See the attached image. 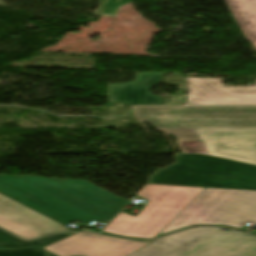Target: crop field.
I'll use <instances>...</instances> for the list:
<instances>
[{"label": "crop field", "mask_w": 256, "mask_h": 256, "mask_svg": "<svg viewBox=\"0 0 256 256\" xmlns=\"http://www.w3.org/2000/svg\"><path fill=\"white\" fill-rule=\"evenodd\" d=\"M128 202L86 181L0 175V228L25 239L108 223Z\"/></svg>", "instance_id": "8a807250"}, {"label": "crop field", "mask_w": 256, "mask_h": 256, "mask_svg": "<svg viewBox=\"0 0 256 256\" xmlns=\"http://www.w3.org/2000/svg\"><path fill=\"white\" fill-rule=\"evenodd\" d=\"M159 130L196 129L209 154L256 165V107H137Z\"/></svg>", "instance_id": "ac0d7876"}, {"label": "crop field", "mask_w": 256, "mask_h": 256, "mask_svg": "<svg viewBox=\"0 0 256 256\" xmlns=\"http://www.w3.org/2000/svg\"><path fill=\"white\" fill-rule=\"evenodd\" d=\"M256 224V191L204 188L156 236L193 224Z\"/></svg>", "instance_id": "34b2d1b8"}, {"label": "crop field", "mask_w": 256, "mask_h": 256, "mask_svg": "<svg viewBox=\"0 0 256 256\" xmlns=\"http://www.w3.org/2000/svg\"><path fill=\"white\" fill-rule=\"evenodd\" d=\"M222 228H195L162 237L129 256H256V238Z\"/></svg>", "instance_id": "412701ff"}, {"label": "crop field", "mask_w": 256, "mask_h": 256, "mask_svg": "<svg viewBox=\"0 0 256 256\" xmlns=\"http://www.w3.org/2000/svg\"><path fill=\"white\" fill-rule=\"evenodd\" d=\"M202 189L199 187L146 184L136 194L149 200L139 215L133 217L120 212L103 231L125 236L154 237Z\"/></svg>", "instance_id": "f4fd0767"}, {"label": "crop field", "mask_w": 256, "mask_h": 256, "mask_svg": "<svg viewBox=\"0 0 256 256\" xmlns=\"http://www.w3.org/2000/svg\"><path fill=\"white\" fill-rule=\"evenodd\" d=\"M177 185L256 190V166L202 154H174Z\"/></svg>", "instance_id": "dd49c442"}, {"label": "crop field", "mask_w": 256, "mask_h": 256, "mask_svg": "<svg viewBox=\"0 0 256 256\" xmlns=\"http://www.w3.org/2000/svg\"><path fill=\"white\" fill-rule=\"evenodd\" d=\"M78 233L64 241L42 248L56 256H126L148 244Z\"/></svg>", "instance_id": "e52e79f7"}, {"label": "crop field", "mask_w": 256, "mask_h": 256, "mask_svg": "<svg viewBox=\"0 0 256 256\" xmlns=\"http://www.w3.org/2000/svg\"><path fill=\"white\" fill-rule=\"evenodd\" d=\"M189 105H256L255 87L223 86L221 79L187 78Z\"/></svg>", "instance_id": "d8731c3e"}, {"label": "crop field", "mask_w": 256, "mask_h": 256, "mask_svg": "<svg viewBox=\"0 0 256 256\" xmlns=\"http://www.w3.org/2000/svg\"><path fill=\"white\" fill-rule=\"evenodd\" d=\"M162 82V73L137 72L135 81L108 84L107 101L126 105H163L162 97L150 94L149 88Z\"/></svg>", "instance_id": "5a996713"}, {"label": "crop field", "mask_w": 256, "mask_h": 256, "mask_svg": "<svg viewBox=\"0 0 256 256\" xmlns=\"http://www.w3.org/2000/svg\"><path fill=\"white\" fill-rule=\"evenodd\" d=\"M246 40L256 50V0H223Z\"/></svg>", "instance_id": "3316defc"}, {"label": "crop field", "mask_w": 256, "mask_h": 256, "mask_svg": "<svg viewBox=\"0 0 256 256\" xmlns=\"http://www.w3.org/2000/svg\"><path fill=\"white\" fill-rule=\"evenodd\" d=\"M71 234H62L47 238H42L36 241H22L2 230H0V248H19V247H33V246H45L51 242L67 237ZM52 244V243H51Z\"/></svg>", "instance_id": "28ad6ade"}, {"label": "crop field", "mask_w": 256, "mask_h": 256, "mask_svg": "<svg viewBox=\"0 0 256 256\" xmlns=\"http://www.w3.org/2000/svg\"><path fill=\"white\" fill-rule=\"evenodd\" d=\"M177 136L179 144L183 147L185 153H204L203 148L199 145V140L195 130H178V131H164Z\"/></svg>", "instance_id": "d1516ede"}, {"label": "crop field", "mask_w": 256, "mask_h": 256, "mask_svg": "<svg viewBox=\"0 0 256 256\" xmlns=\"http://www.w3.org/2000/svg\"><path fill=\"white\" fill-rule=\"evenodd\" d=\"M132 0H101L95 16L115 17L120 7Z\"/></svg>", "instance_id": "22f410ed"}, {"label": "crop field", "mask_w": 256, "mask_h": 256, "mask_svg": "<svg viewBox=\"0 0 256 256\" xmlns=\"http://www.w3.org/2000/svg\"><path fill=\"white\" fill-rule=\"evenodd\" d=\"M149 184L176 185V164L151 175Z\"/></svg>", "instance_id": "cbeb9de0"}, {"label": "crop field", "mask_w": 256, "mask_h": 256, "mask_svg": "<svg viewBox=\"0 0 256 256\" xmlns=\"http://www.w3.org/2000/svg\"><path fill=\"white\" fill-rule=\"evenodd\" d=\"M0 256H54L40 248L22 250H0Z\"/></svg>", "instance_id": "5142ce71"}, {"label": "crop field", "mask_w": 256, "mask_h": 256, "mask_svg": "<svg viewBox=\"0 0 256 256\" xmlns=\"http://www.w3.org/2000/svg\"><path fill=\"white\" fill-rule=\"evenodd\" d=\"M79 231H92V230H88V229H81V230H79ZM92 232H95V231H92ZM96 233H98V232H96Z\"/></svg>", "instance_id": "d9b57169"}, {"label": "crop field", "mask_w": 256, "mask_h": 256, "mask_svg": "<svg viewBox=\"0 0 256 256\" xmlns=\"http://www.w3.org/2000/svg\"><path fill=\"white\" fill-rule=\"evenodd\" d=\"M101 234H104V233H101ZM104 235H108V234H104ZM110 236H113V235H110ZM117 237V236H116ZM122 238V237H121ZM127 239H129V238H127ZM133 240H137V239H133Z\"/></svg>", "instance_id": "733c2abd"}, {"label": "crop field", "mask_w": 256, "mask_h": 256, "mask_svg": "<svg viewBox=\"0 0 256 256\" xmlns=\"http://www.w3.org/2000/svg\"><path fill=\"white\" fill-rule=\"evenodd\" d=\"M256 235V234H255Z\"/></svg>", "instance_id": "4a817a6b"}]
</instances>
